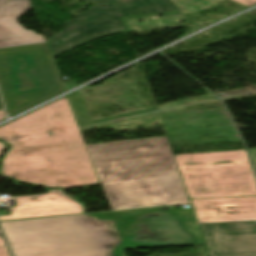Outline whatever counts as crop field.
Instances as JSON below:
<instances>
[{"label":"crop field","instance_id":"8a807250","mask_svg":"<svg viewBox=\"0 0 256 256\" xmlns=\"http://www.w3.org/2000/svg\"><path fill=\"white\" fill-rule=\"evenodd\" d=\"M0 138L13 146L3 175L64 189L100 183L66 96L1 127Z\"/></svg>","mask_w":256,"mask_h":256},{"label":"crop field","instance_id":"ac0d7876","mask_svg":"<svg viewBox=\"0 0 256 256\" xmlns=\"http://www.w3.org/2000/svg\"><path fill=\"white\" fill-rule=\"evenodd\" d=\"M87 147L111 210L190 204L167 136Z\"/></svg>","mask_w":256,"mask_h":256},{"label":"crop field","instance_id":"34b2d1b8","mask_svg":"<svg viewBox=\"0 0 256 256\" xmlns=\"http://www.w3.org/2000/svg\"><path fill=\"white\" fill-rule=\"evenodd\" d=\"M0 224L15 256H111L120 242L112 221L87 215Z\"/></svg>","mask_w":256,"mask_h":256},{"label":"crop field","instance_id":"412701ff","mask_svg":"<svg viewBox=\"0 0 256 256\" xmlns=\"http://www.w3.org/2000/svg\"><path fill=\"white\" fill-rule=\"evenodd\" d=\"M0 87L10 116L63 92L47 43L0 49Z\"/></svg>","mask_w":256,"mask_h":256},{"label":"crop field","instance_id":"f4fd0767","mask_svg":"<svg viewBox=\"0 0 256 256\" xmlns=\"http://www.w3.org/2000/svg\"><path fill=\"white\" fill-rule=\"evenodd\" d=\"M79 19L49 39L56 57L102 36L130 32L126 18L181 13L171 0H93Z\"/></svg>","mask_w":256,"mask_h":256},{"label":"crop field","instance_id":"dd49c442","mask_svg":"<svg viewBox=\"0 0 256 256\" xmlns=\"http://www.w3.org/2000/svg\"><path fill=\"white\" fill-rule=\"evenodd\" d=\"M178 168L190 199L256 196L250 163Z\"/></svg>","mask_w":256,"mask_h":256},{"label":"crop field","instance_id":"e52e79f7","mask_svg":"<svg viewBox=\"0 0 256 256\" xmlns=\"http://www.w3.org/2000/svg\"><path fill=\"white\" fill-rule=\"evenodd\" d=\"M146 220L151 234L125 239L115 256H125V248L205 244L195 216Z\"/></svg>","mask_w":256,"mask_h":256},{"label":"crop field","instance_id":"d8731c3e","mask_svg":"<svg viewBox=\"0 0 256 256\" xmlns=\"http://www.w3.org/2000/svg\"><path fill=\"white\" fill-rule=\"evenodd\" d=\"M198 224L210 256H256L255 221Z\"/></svg>","mask_w":256,"mask_h":256},{"label":"crop field","instance_id":"5a996713","mask_svg":"<svg viewBox=\"0 0 256 256\" xmlns=\"http://www.w3.org/2000/svg\"><path fill=\"white\" fill-rule=\"evenodd\" d=\"M14 199L18 206L11 209V215L0 216V220L84 213L85 210L62 189L48 190V194L15 196Z\"/></svg>","mask_w":256,"mask_h":256},{"label":"crop field","instance_id":"3316defc","mask_svg":"<svg viewBox=\"0 0 256 256\" xmlns=\"http://www.w3.org/2000/svg\"><path fill=\"white\" fill-rule=\"evenodd\" d=\"M191 201L198 222L256 220V197Z\"/></svg>","mask_w":256,"mask_h":256},{"label":"crop field","instance_id":"28ad6ade","mask_svg":"<svg viewBox=\"0 0 256 256\" xmlns=\"http://www.w3.org/2000/svg\"><path fill=\"white\" fill-rule=\"evenodd\" d=\"M30 8V0H8L0 8V48L45 42L42 35L25 29L17 21Z\"/></svg>","mask_w":256,"mask_h":256},{"label":"crop field","instance_id":"d1516ede","mask_svg":"<svg viewBox=\"0 0 256 256\" xmlns=\"http://www.w3.org/2000/svg\"><path fill=\"white\" fill-rule=\"evenodd\" d=\"M193 214L191 208L174 209L166 212L158 208L98 213L104 219H116L122 237L133 233L147 232L145 217ZM134 235V234H133Z\"/></svg>","mask_w":256,"mask_h":256},{"label":"crop field","instance_id":"22f410ed","mask_svg":"<svg viewBox=\"0 0 256 256\" xmlns=\"http://www.w3.org/2000/svg\"><path fill=\"white\" fill-rule=\"evenodd\" d=\"M174 156L178 166L250 162L246 150Z\"/></svg>","mask_w":256,"mask_h":256},{"label":"crop field","instance_id":"cbeb9de0","mask_svg":"<svg viewBox=\"0 0 256 256\" xmlns=\"http://www.w3.org/2000/svg\"><path fill=\"white\" fill-rule=\"evenodd\" d=\"M67 97L70 102L78 126L81 127L93 124L89 117L88 111L86 109L80 91L68 95Z\"/></svg>","mask_w":256,"mask_h":256},{"label":"crop field","instance_id":"5142ce71","mask_svg":"<svg viewBox=\"0 0 256 256\" xmlns=\"http://www.w3.org/2000/svg\"><path fill=\"white\" fill-rule=\"evenodd\" d=\"M155 110H158V108H153V109L138 111V112H134V113L126 114V115L114 116V117L102 119V120H99V121H94L93 123H94V124H96V123H101V122H105V121H110V120H114V119H118V118H122V117H126V116H131V115L142 114V113H146V112H150V111H155Z\"/></svg>","mask_w":256,"mask_h":256},{"label":"crop field","instance_id":"d9b57169","mask_svg":"<svg viewBox=\"0 0 256 256\" xmlns=\"http://www.w3.org/2000/svg\"><path fill=\"white\" fill-rule=\"evenodd\" d=\"M233 1H236V2L243 4L247 7H250V6L256 4V0H233Z\"/></svg>","mask_w":256,"mask_h":256},{"label":"crop field","instance_id":"733c2abd","mask_svg":"<svg viewBox=\"0 0 256 256\" xmlns=\"http://www.w3.org/2000/svg\"><path fill=\"white\" fill-rule=\"evenodd\" d=\"M0 256H10L7 247L0 248Z\"/></svg>","mask_w":256,"mask_h":256},{"label":"crop field","instance_id":"4a817a6b","mask_svg":"<svg viewBox=\"0 0 256 256\" xmlns=\"http://www.w3.org/2000/svg\"><path fill=\"white\" fill-rule=\"evenodd\" d=\"M6 116H5V112H4V110H1L0 111V120L1 119H3V118H5ZM6 119V118H5ZM4 120V119H3Z\"/></svg>","mask_w":256,"mask_h":256},{"label":"crop field","instance_id":"bc2a9ffb","mask_svg":"<svg viewBox=\"0 0 256 256\" xmlns=\"http://www.w3.org/2000/svg\"><path fill=\"white\" fill-rule=\"evenodd\" d=\"M1 246H6L2 237H0V247Z\"/></svg>","mask_w":256,"mask_h":256},{"label":"crop field","instance_id":"214f88e0","mask_svg":"<svg viewBox=\"0 0 256 256\" xmlns=\"http://www.w3.org/2000/svg\"><path fill=\"white\" fill-rule=\"evenodd\" d=\"M7 0H0V7L6 2Z\"/></svg>","mask_w":256,"mask_h":256},{"label":"crop field","instance_id":"92a150f3","mask_svg":"<svg viewBox=\"0 0 256 256\" xmlns=\"http://www.w3.org/2000/svg\"><path fill=\"white\" fill-rule=\"evenodd\" d=\"M5 148V146H0V154L2 152V150Z\"/></svg>","mask_w":256,"mask_h":256},{"label":"crop field","instance_id":"dafd665d","mask_svg":"<svg viewBox=\"0 0 256 256\" xmlns=\"http://www.w3.org/2000/svg\"><path fill=\"white\" fill-rule=\"evenodd\" d=\"M0 108H3V107H2V104H1V101H0Z\"/></svg>","mask_w":256,"mask_h":256},{"label":"crop field","instance_id":"00972430","mask_svg":"<svg viewBox=\"0 0 256 256\" xmlns=\"http://www.w3.org/2000/svg\"><path fill=\"white\" fill-rule=\"evenodd\" d=\"M0 145H4L2 142H0Z\"/></svg>","mask_w":256,"mask_h":256},{"label":"crop field","instance_id":"a9b5d70f","mask_svg":"<svg viewBox=\"0 0 256 256\" xmlns=\"http://www.w3.org/2000/svg\"><path fill=\"white\" fill-rule=\"evenodd\" d=\"M255 165V169H256V164H254Z\"/></svg>","mask_w":256,"mask_h":256}]
</instances>
